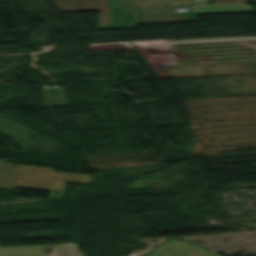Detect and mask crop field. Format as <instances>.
<instances>
[{
    "mask_svg": "<svg viewBox=\"0 0 256 256\" xmlns=\"http://www.w3.org/2000/svg\"><path fill=\"white\" fill-rule=\"evenodd\" d=\"M12 159H0V189L15 188Z\"/></svg>",
    "mask_w": 256,
    "mask_h": 256,
    "instance_id": "crop-field-5",
    "label": "crop field"
},
{
    "mask_svg": "<svg viewBox=\"0 0 256 256\" xmlns=\"http://www.w3.org/2000/svg\"><path fill=\"white\" fill-rule=\"evenodd\" d=\"M151 252H152V250H151L147 255H145V256H150V255H151Z\"/></svg>",
    "mask_w": 256,
    "mask_h": 256,
    "instance_id": "crop-field-6",
    "label": "crop field"
},
{
    "mask_svg": "<svg viewBox=\"0 0 256 256\" xmlns=\"http://www.w3.org/2000/svg\"><path fill=\"white\" fill-rule=\"evenodd\" d=\"M197 15L256 11L246 3L193 6Z\"/></svg>",
    "mask_w": 256,
    "mask_h": 256,
    "instance_id": "crop-field-4",
    "label": "crop field"
},
{
    "mask_svg": "<svg viewBox=\"0 0 256 256\" xmlns=\"http://www.w3.org/2000/svg\"><path fill=\"white\" fill-rule=\"evenodd\" d=\"M193 5L209 4L208 0H191ZM214 4L238 3L243 0H212ZM245 2H256L246 0ZM59 12L100 11L98 28H112L106 0H55ZM198 21L192 6L137 8V24Z\"/></svg>",
    "mask_w": 256,
    "mask_h": 256,
    "instance_id": "crop-field-1",
    "label": "crop field"
},
{
    "mask_svg": "<svg viewBox=\"0 0 256 256\" xmlns=\"http://www.w3.org/2000/svg\"><path fill=\"white\" fill-rule=\"evenodd\" d=\"M151 256H218L207 250L198 248L186 241L171 239L155 249Z\"/></svg>",
    "mask_w": 256,
    "mask_h": 256,
    "instance_id": "crop-field-2",
    "label": "crop field"
},
{
    "mask_svg": "<svg viewBox=\"0 0 256 256\" xmlns=\"http://www.w3.org/2000/svg\"><path fill=\"white\" fill-rule=\"evenodd\" d=\"M55 256H83L76 243L56 245ZM0 256H47L41 246L0 248Z\"/></svg>",
    "mask_w": 256,
    "mask_h": 256,
    "instance_id": "crop-field-3",
    "label": "crop field"
}]
</instances>
